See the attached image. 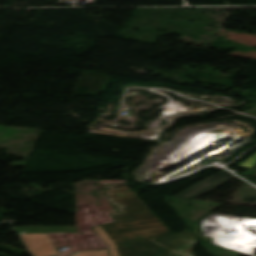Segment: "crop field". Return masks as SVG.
Segmentation results:
<instances>
[{"mask_svg": "<svg viewBox=\"0 0 256 256\" xmlns=\"http://www.w3.org/2000/svg\"><path fill=\"white\" fill-rule=\"evenodd\" d=\"M107 196L119 212L110 215L114 222L93 229L109 249L74 251L71 256H155L159 247L151 241L171 232L125 183L108 184Z\"/></svg>", "mask_w": 256, "mask_h": 256, "instance_id": "obj_1", "label": "crop field"}, {"mask_svg": "<svg viewBox=\"0 0 256 256\" xmlns=\"http://www.w3.org/2000/svg\"><path fill=\"white\" fill-rule=\"evenodd\" d=\"M18 234L32 256H54L59 254L47 234Z\"/></svg>", "mask_w": 256, "mask_h": 256, "instance_id": "obj_2", "label": "crop field"}, {"mask_svg": "<svg viewBox=\"0 0 256 256\" xmlns=\"http://www.w3.org/2000/svg\"><path fill=\"white\" fill-rule=\"evenodd\" d=\"M233 178L230 174H227L224 171H220L207 179L193 185L192 187L182 191L181 193L173 196L176 198H187L193 199L194 197L218 186L219 184Z\"/></svg>", "mask_w": 256, "mask_h": 256, "instance_id": "obj_3", "label": "crop field"}, {"mask_svg": "<svg viewBox=\"0 0 256 256\" xmlns=\"http://www.w3.org/2000/svg\"><path fill=\"white\" fill-rule=\"evenodd\" d=\"M195 236L190 232L189 229L162 239L155 242L156 244L163 247L162 251L158 256H183L178 254H173L170 251L182 247L192 246L196 242Z\"/></svg>", "mask_w": 256, "mask_h": 256, "instance_id": "obj_4", "label": "crop field"}, {"mask_svg": "<svg viewBox=\"0 0 256 256\" xmlns=\"http://www.w3.org/2000/svg\"><path fill=\"white\" fill-rule=\"evenodd\" d=\"M20 233H60L75 232L74 227H24L15 228Z\"/></svg>", "mask_w": 256, "mask_h": 256, "instance_id": "obj_5", "label": "crop field"}, {"mask_svg": "<svg viewBox=\"0 0 256 256\" xmlns=\"http://www.w3.org/2000/svg\"><path fill=\"white\" fill-rule=\"evenodd\" d=\"M193 247L194 246L187 247V248H182V249L174 250V251H171V252L191 256Z\"/></svg>", "mask_w": 256, "mask_h": 256, "instance_id": "obj_6", "label": "crop field"}]
</instances>
